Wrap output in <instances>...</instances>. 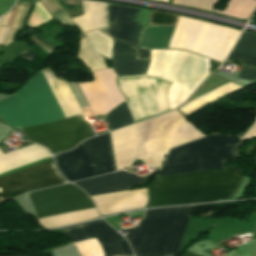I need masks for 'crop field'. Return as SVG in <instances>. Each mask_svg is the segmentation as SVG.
Here are the masks:
<instances>
[{
	"label": "crop field",
	"instance_id": "214f88e0",
	"mask_svg": "<svg viewBox=\"0 0 256 256\" xmlns=\"http://www.w3.org/2000/svg\"><path fill=\"white\" fill-rule=\"evenodd\" d=\"M85 34L99 54H101L106 58L111 59V47H112V41L114 39L96 30L93 32L85 33Z\"/></svg>",
	"mask_w": 256,
	"mask_h": 256
},
{
	"label": "crop field",
	"instance_id": "4a817a6b",
	"mask_svg": "<svg viewBox=\"0 0 256 256\" xmlns=\"http://www.w3.org/2000/svg\"><path fill=\"white\" fill-rule=\"evenodd\" d=\"M150 60H112L116 76L144 74Z\"/></svg>",
	"mask_w": 256,
	"mask_h": 256
},
{
	"label": "crop field",
	"instance_id": "28ad6ade",
	"mask_svg": "<svg viewBox=\"0 0 256 256\" xmlns=\"http://www.w3.org/2000/svg\"><path fill=\"white\" fill-rule=\"evenodd\" d=\"M61 230L72 242L96 238L105 256H133L128 243L102 220Z\"/></svg>",
	"mask_w": 256,
	"mask_h": 256
},
{
	"label": "crop field",
	"instance_id": "eef30255",
	"mask_svg": "<svg viewBox=\"0 0 256 256\" xmlns=\"http://www.w3.org/2000/svg\"><path fill=\"white\" fill-rule=\"evenodd\" d=\"M0 20H1V18H0Z\"/></svg>",
	"mask_w": 256,
	"mask_h": 256
},
{
	"label": "crop field",
	"instance_id": "92a150f3",
	"mask_svg": "<svg viewBox=\"0 0 256 256\" xmlns=\"http://www.w3.org/2000/svg\"><path fill=\"white\" fill-rule=\"evenodd\" d=\"M149 18L151 19L150 23L167 25H173L176 20V17L173 15H167L156 12H152Z\"/></svg>",
	"mask_w": 256,
	"mask_h": 256
},
{
	"label": "crop field",
	"instance_id": "8a807250",
	"mask_svg": "<svg viewBox=\"0 0 256 256\" xmlns=\"http://www.w3.org/2000/svg\"><path fill=\"white\" fill-rule=\"evenodd\" d=\"M110 135L117 170L130 167L136 159L159 167L169 148L203 136L175 109ZM242 136H207L172 148L158 177L222 168V159L234 158ZM252 137H256V120L242 139ZM54 159L68 182L115 171L108 133Z\"/></svg>",
	"mask_w": 256,
	"mask_h": 256
},
{
	"label": "crop field",
	"instance_id": "3316defc",
	"mask_svg": "<svg viewBox=\"0 0 256 256\" xmlns=\"http://www.w3.org/2000/svg\"><path fill=\"white\" fill-rule=\"evenodd\" d=\"M37 218L95 207L88 196L72 184L28 194Z\"/></svg>",
	"mask_w": 256,
	"mask_h": 256
},
{
	"label": "crop field",
	"instance_id": "dd49c442",
	"mask_svg": "<svg viewBox=\"0 0 256 256\" xmlns=\"http://www.w3.org/2000/svg\"><path fill=\"white\" fill-rule=\"evenodd\" d=\"M190 215V206L146 210L126 238L136 256L176 255Z\"/></svg>",
	"mask_w": 256,
	"mask_h": 256
},
{
	"label": "crop field",
	"instance_id": "f4fd0767",
	"mask_svg": "<svg viewBox=\"0 0 256 256\" xmlns=\"http://www.w3.org/2000/svg\"><path fill=\"white\" fill-rule=\"evenodd\" d=\"M48 151L34 144L3 155L0 173L49 157ZM65 183L51 157L0 174V203L34 189Z\"/></svg>",
	"mask_w": 256,
	"mask_h": 256
},
{
	"label": "crop field",
	"instance_id": "d1516ede",
	"mask_svg": "<svg viewBox=\"0 0 256 256\" xmlns=\"http://www.w3.org/2000/svg\"><path fill=\"white\" fill-rule=\"evenodd\" d=\"M95 80L79 84L95 116L107 114L123 96L115 85L112 68L92 72Z\"/></svg>",
	"mask_w": 256,
	"mask_h": 256
},
{
	"label": "crop field",
	"instance_id": "733c2abd",
	"mask_svg": "<svg viewBox=\"0 0 256 256\" xmlns=\"http://www.w3.org/2000/svg\"><path fill=\"white\" fill-rule=\"evenodd\" d=\"M97 212L96 209H87L77 212H71L61 215H55L43 219H39V223L44 228H53V227H59L64 226L76 222H81L93 218H97Z\"/></svg>",
	"mask_w": 256,
	"mask_h": 256
},
{
	"label": "crop field",
	"instance_id": "730fd06b",
	"mask_svg": "<svg viewBox=\"0 0 256 256\" xmlns=\"http://www.w3.org/2000/svg\"><path fill=\"white\" fill-rule=\"evenodd\" d=\"M219 1V0H218ZM217 4V3H216ZM215 7V6H214ZM213 10V9H212Z\"/></svg>",
	"mask_w": 256,
	"mask_h": 256
},
{
	"label": "crop field",
	"instance_id": "22f410ed",
	"mask_svg": "<svg viewBox=\"0 0 256 256\" xmlns=\"http://www.w3.org/2000/svg\"><path fill=\"white\" fill-rule=\"evenodd\" d=\"M105 10L108 26L98 30L114 39L136 45L141 24L133 23V20L139 9L107 4Z\"/></svg>",
	"mask_w": 256,
	"mask_h": 256
},
{
	"label": "crop field",
	"instance_id": "4177f3b9",
	"mask_svg": "<svg viewBox=\"0 0 256 256\" xmlns=\"http://www.w3.org/2000/svg\"><path fill=\"white\" fill-rule=\"evenodd\" d=\"M183 256H197V255L186 252Z\"/></svg>",
	"mask_w": 256,
	"mask_h": 256
},
{
	"label": "crop field",
	"instance_id": "dafd665d",
	"mask_svg": "<svg viewBox=\"0 0 256 256\" xmlns=\"http://www.w3.org/2000/svg\"><path fill=\"white\" fill-rule=\"evenodd\" d=\"M29 39L34 41L36 44H38L40 47H42L44 50H46L50 54L54 49L50 45H48L46 42H44L42 39L37 37L35 34L33 36H31Z\"/></svg>",
	"mask_w": 256,
	"mask_h": 256
},
{
	"label": "crop field",
	"instance_id": "e52e79f7",
	"mask_svg": "<svg viewBox=\"0 0 256 256\" xmlns=\"http://www.w3.org/2000/svg\"><path fill=\"white\" fill-rule=\"evenodd\" d=\"M170 85L169 81L148 75L117 78L134 123L169 110ZM126 102L107 115L111 130L133 123Z\"/></svg>",
	"mask_w": 256,
	"mask_h": 256
},
{
	"label": "crop field",
	"instance_id": "34b2d1b8",
	"mask_svg": "<svg viewBox=\"0 0 256 256\" xmlns=\"http://www.w3.org/2000/svg\"><path fill=\"white\" fill-rule=\"evenodd\" d=\"M174 27L146 25L140 30L142 48H176L192 51L222 63L240 31L178 16ZM237 40V39H236Z\"/></svg>",
	"mask_w": 256,
	"mask_h": 256
},
{
	"label": "crop field",
	"instance_id": "00972430",
	"mask_svg": "<svg viewBox=\"0 0 256 256\" xmlns=\"http://www.w3.org/2000/svg\"><path fill=\"white\" fill-rule=\"evenodd\" d=\"M19 57H22L24 59H27L29 61H31L33 58H35L37 55L34 54L31 49L27 50L26 52L22 53V54H19L17 55Z\"/></svg>",
	"mask_w": 256,
	"mask_h": 256
},
{
	"label": "crop field",
	"instance_id": "5142ce71",
	"mask_svg": "<svg viewBox=\"0 0 256 256\" xmlns=\"http://www.w3.org/2000/svg\"><path fill=\"white\" fill-rule=\"evenodd\" d=\"M144 179L124 171L76 182L89 196L126 190L127 187L142 182Z\"/></svg>",
	"mask_w": 256,
	"mask_h": 256
},
{
	"label": "crop field",
	"instance_id": "d9b57169",
	"mask_svg": "<svg viewBox=\"0 0 256 256\" xmlns=\"http://www.w3.org/2000/svg\"><path fill=\"white\" fill-rule=\"evenodd\" d=\"M229 59L245 62L238 78L256 81V36L243 32Z\"/></svg>",
	"mask_w": 256,
	"mask_h": 256
},
{
	"label": "crop field",
	"instance_id": "cbeb9de0",
	"mask_svg": "<svg viewBox=\"0 0 256 256\" xmlns=\"http://www.w3.org/2000/svg\"><path fill=\"white\" fill-rule=\"evenodd\" d=\"M101 215L123 212L145 207L147 203L146 189L120 191L91 197Z\"/></svg>",
	"mask_w": 256,
	"mask_h": 256
},
{
	"label": "crop field",
	"instance_id": "bc2a9ffb",
	"mask_svg": "<svg viewBox=\"0 0 256 256\" xmlns=\"http://www.w3.org/2000/svg\"><path fill=\"white\" fill-rule=\"evenodd\" d=\"M241 86H238L236 84L230 83L208 95L202 96L196 100H194L193 102L183 106L182 108L178 109L180 110L182 113H184L185 115L200 108L201 106L239 88Z\"/></svg>",
	"mask_w": 256,
	"mask_h": 256
},
{
	"label": "crop field",
	"instance_id": "d8731c3e",
	"mask_svg": "<svg viewBox=\"0 0 256 256\" xmlns=\"http://www.w3.org/2000/svg\"><path fill=\"white\" fill-rule=\"evenodd\" d=\"M145 74L173 82L168 96L170 110L183 104L209 74L210 60L184 50L151 49Z\"/></svg>",
	"mask_w": 256,
	"mask_h": 256
},
{
	"label": "crop field",
	"instance_id": "ac0d7876",
	"mask_svg": "<svg viewBox=\"0 0 256 256\" xmlns=\"http://www.w3.org/2000/svg\"><path fill=\"white\" fill-rule=\"evenodd\" d=\"M43 72L67 117L82 114L67 81L57 79L49 67L43 69ZM43 72L41 70L29 80L51 121L66 118ZM29 80L15 93L9 95L8 99L0 101V118L9 127L21 128L50 122Z\"/></svg>",
	"mask_w": 256,
	"mask_h": 256
},
{
	"label": "crop field",
	"instance_id": "a9b5d70f",
	"mask_svg": "<svg viewBox=\"0 0 256 256\" xmlns=\"http://www.w3.org/2000/svg\"><path fill=\"white\" fill-rule=\"evenodd\" d=\"M139 59H149L150 49H140L138 48Z\"/></svg>",
	"mask_w": 256,
	"mask_h": 256
},
{
	"label": "crop field",
	"instance_id": "412701ff",
	"mask_svg": "<svg viewBox=\"0 0 256 256\" xmlns=\"http://www.w3.org/2000/svg\"><path fill=\"white\" fill-rule=\"evenodd\" d=\"M241 176L242 171L232 165L219 170L155 178L149 187L148 207L231 198Z\"/></svg>",
	"mask_w": 256,
	"mask_h": 256
},
{
	"label": "crop field",
	"instance_id": "5a996713",
	"mask_svg": "<svg viewBox=\"0 0 256 256\" xmlns=\"http://www.w3.org/2000/svg\"><path fill=\"white\" fill-rule=\"evenodd\" d=\"M26 140L45 146L52 154L63 152L81 140L93 137V131L82 116L19 129Z\"/></svg>",
	"mask_w": 256,
	"mask_h": 256
}]
</instances>
